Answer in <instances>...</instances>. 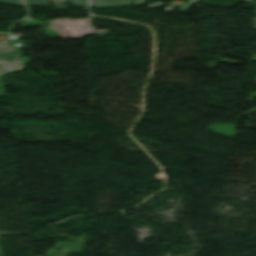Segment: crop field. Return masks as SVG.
Wrapping results in <instances>:
<instances>
[{
    "label": "crop field",
    "mask_w": 256,
    "mask_h": 256,
    "mask_svg": "<svg viewBox=\"0 0 256 256\" xmlns=\"http://www.w3.org/2000/svg\"><path fill=\"white\" fill-rule=\"evenodd\" d=\"M27 6L47 5L51 0H25Z\"/></svg>",
    "instance_id": "crop-field-4"
},
{
    "label": "crop field",
    "mask_w": 256,
    "mask_h": 256,
    "mask_svg": "<svg viewBox=\"0 0 256 256\" xmlns=\"http://www.w3.org/2000/svg\"><path fill=\"white\" fill-rule=\"evenodd\" d=\"M0 1L10 3V4L22 5L21 0H0Z\"/></svg>",
    "instance_id": "crop-field-5"
},
{
    "label": "crop field",
    "mask_w": 256,
    "mask_h": 256,
    "mask_svg": "<svg viewBox=\"0 0 256 256\" xmlns=\"http://www.w3.org/2000/svg\"><path fill=\"white\" fill-rule=\"evenodd\" d=\"M255 15H256V11H255Z\"/></svg>",
    "instance_id": "crop-field-7"
},
{
    "label": "crop field",
    "mask_w": 256,
    "mask_h": 256,
    "mask_svg": "<svg viewBox=\"0 0 256 256\" xmlns=\"http://www.w3.org/2000/svg\"><path fill=\"white\" fill-rule=\"evenodd\" d=\"M0 33H7V32H0ZM1 42V41H0Z\"/></svg>",
    "instance_id": "crop-field-6"
},
{
    "label": "crop field",
    "mask_w": 256,
    "mask_h": 256,
    "mask_svg": "<svg viewBox=\"0 0 256 256\" xmlns=\"http://www.w3.org/2000/svg\"><path fill=\"white\" fill-rule=\"evenodd\" d=\"M137 0H91L90 6L100 7V6H117V5H127L132 4Z\"/></svg>",
    "instance_id": "crop-field-2"
},
{
    "label": "crop field",
    "mask_w": 256,
    "mask_h": 256,
    "mask_svg": "<svg viewBox=\"0 0 256 256\" xmlns=\"http://www.w3.org/2000/svg\"><path fill=\"white\" fill-rule=\"evenodd\" d=\"M15 42L9 40L6 43ZM31 61L28 57L20 54L19 50L15 47L5 45L0 46V74L5 75L15 71H22L25 67L22 63Z\"/></svg>",
    "instance_id": "crop-field-1"
},
{
    "label": "crop field",
    "mask_w": 256,
    "mask_h": 256,
    "mask_svg": "<svg viewBox=\"0 0 256 256\" xmlns=\"http://www.w3.org/2000/svg\"><path fill=\"white\" fill-rule=\"evenodd\" d=\"M58 5L56 6L57 9H67L65 5V0H57ZM75 7H86L88 4V0H67Z\"/></svg>",
    "instance_id": "crop-field-3"
}]
</instances>
